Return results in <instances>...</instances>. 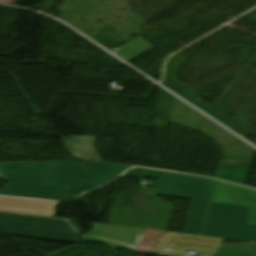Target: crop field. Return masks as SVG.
Listing matches in <instances>:
<instances>
[{"mask_svg":"<svg viewBox=\"0 0 256 256\" xmlns=\"http://www.w3.org/2000/svg\"><path fill=\"white\" fill-rule=\"evenodd\" d=\"M64 189L66 188L45 185L7 183L0 189V195L42 198L60 201L63 198L62 190Z\"/></svg>","mask_w":256,"mask_h":256,"instance_id":"obj_7","label":"crop field"},{"mask_svg":"<svg viewBox=\"0 0 256 256\" xmlns=\"http://www.w3.org/2000/svg\"><path fill=\"white\" fill-rule=\"evenodd\" d=\"M250 166L220 164L217 179L243 185Z\"/></svg>","mask_w":256,"mask_h":256,"instance_id":"obj_11","label":"crop field"},{"mask_svg":"<svg viewBox=\"0 0 256 256\" xmlns=\"http://www.w3.org/2000/svg\"><path fill=\"white\" fill-rule=\"evenodd\" d=\"M124 174L158 179L152 194L192 199L185 233L200 235L212 179L141 168Z\"/></svg>","mask_w":256,"mask_h":256,"instance_id":"obj_1","label":"crop field"},{"mask_svg":"<svg viewBox=\"0 0 256 256\" xmlns=\"http://www.w3.org/2000/svg\"><path fill=\"white\" fill-rule=\"evenodd\" d=\"M152 49L154 48L139 36L112 52L129 62Z\"/></svg>","mask_w":256,"mask_h":256,"instance_id":"obj_10","label":"crop field"},{"mask_svg":"<svg viewBox=\"0 0 256 256\" xmlns=\"http://www.w3.org/2000/svg\"><path fill=\"white\" fill-rule=\"evenodd\" d=\"M211 201L249 206L248 224L256 223V190L215 180Z\"/></svg>","mask_w":256,"mask_h":256,"instance_id":"obj_5","label":"crop field"},{"mask_svg":"<svg viewBox=\"0 0 256 256\" xmlns=\"http://www.w3.org/2000/svg\"><path fill=\"white\" fill-rule=\"evenodd\" d=\"M87 172L77 163H10L0 164L3 181H21L72 186Z\"/></svg>","mask_w":256,"mask_h":256,"instance_id":"obj_2","label":"crop field"},{"mask_svg":"<svg viewBox=\"0 0 256 256\" xmlns=\"http://www.w3.org/2000/svg\"><path fill=\"white\" fill-rule=\"evenodd\" d=\"M248 207L210 203L202 235L256 242V224L247 225Z\"/></svg>","mask_w":256,"mask_h":256,"instance_id":"obj_4","label":"crop field"},{"mask_svg":"<svg viewBox=\"0 0 256 256\" xmlns=\"http://www.w3.org/2000/svg\"><path fill=\"white\" fill-rule=\"evenodd\" d=\"M57 203L0 196V210L53 217Z\"/></svg>","mask_w":256,"mask_h":256,"instance_id":"obj_8","label":"crop field"},{"mask_svg":"<svg viewBox=\"0 0 256 256\" xmlns=\"http://www.w3.org/2000/svg\"><path fill=\"white\" fill-rule=\"evenodd\" d=\"M72 226L78 231V232H83L82 229L79 227V225L76 223V221H71V220H68Z\"/></svg>","mask_w":256,"mask_h":256,"instance_id":"obj_14","label":"crop field"},{"mask_svg":"<svg viewBox=\"0 0 256 256\" xmlns=\"http://www.w3.org/2000/svg\"><path fill=\"white\" fill-rule=\"evenodd\" d=\"M0 233L73 243L80 242L65 220L0 213Z\"/></svg>","mask_w":256,"mask_h":256,"instance_id":"obj_3","label":"crop field"},{"mask_svg":"<svg viewBox=\"0 0 256 256\" xmlns=\"http://www.w3.org/2000/svg\"><path fill=\"white\" fill-rule=\"evenodd\" d=\"M94 228L87 234L136 246L143 229L93 223Z\"/></svg>","mask_w":256,"mask_h":256,"instance_id":"obj_9","label":"crop field"},{"mask_svg":"<svg viewBox=\"0 0 256 256\" xmlns=\"http://www.w3.org/2000/svg\"><path fill=\"white\" fill-rule=\"evenodd\" d=\"M216 256H256V244L222 245Z\"/></svg>","mask_w":256,"mask_h":256,"instance_id":"obj_12","label":"crop field"},{"mask_svg":"<svg viewBox=\"0 0 256 256\" xmlns=\"http://www.w3.org/2000/svg\"><path fill=\"white\" fill-rule=\"evenodd\" d=\"M81 238L85 241H97V242H102L112 248H121V249H127V250H130L132 251L133 247H129V246H125V245H122V244H118V243H115V242H111V241H107V240H103V239H99V238H95V237H91V236H87V235H83L81 236Z\"/></svg>","mask_w":256,"mask_h":256,"instance_id":"obj_13","label":"crop field"},{"mask_svg":"<svg viewBox=\"0 0 256 256\" xmlns=\"http://www.w3.org/2000/svg\"><path fill=\"white\" fill-rule=\"evenodd\" d=\"M90 170V174L84 179V181L77 187H74L68 191H66V200H70L85 191L101 186L107 183L109 180L121 174L127 168L131 166H123V165H112V164H104V163H82Z\"/></svg>","mask_w":256,"mask_h":256,"instance_id":"obj_6","label":"crop field"}]
</instances>
